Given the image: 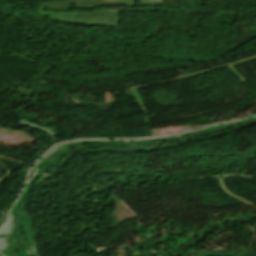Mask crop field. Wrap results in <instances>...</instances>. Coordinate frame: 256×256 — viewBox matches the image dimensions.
<instances>
[{"mask_svg":"<svg viewBox=\"0 0 256 256\" xmlns=\"http://www.w3.org/2000/svg\"><path fill=\"white\" fill-rule=\"evenodd\" d=\"M101 5H149L147 0H59L40 3L37 10L43 15L55 20L73 22L93 26L117 27L120 10L108 9L100 12L70 13L68 10L74 8H94Z\"/></svg>","mask_w":256,"mask_h":256,"instance_id":"obj_1","label":"crop field"},{"mask_svg":"<svg viewBox=\"0 0 256 256\" xmlns=\"http://www.w3.org/2000/svg\"><path fill=\"white\" fill-rule=\"evenodd\" d=\"M15 219L10 215L6 225L0 229V252L19 245L11 232Z\"/></svg>","mask_w":256,"mask_h":256,"instance_id":"obj_2","label":"crop field"}]
</instances>
